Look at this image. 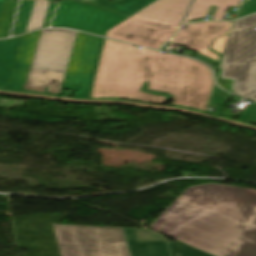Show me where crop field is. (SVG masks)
I'll list each match as a JSON object with an SVG mask.
<instances>
[{"instance_id": "7", "label": "crop field", "mask_w": 256, "mask_h": 256, "mask_svg": "<svg viewBox=\"0 0 256 256\" xmlns=\"http://www.w3.org/2000/svg\"><path fill=\"white\" fill-rule=\"evenodd\" d=\"M103 38L77 33L62 88L76 90L74 97H89L103 45Z\"/></svg>"}, {"instance_id": "6", "label": "crop field", "mask_w": 256, "mask_h": 256, "mask_svg": "<svg viewBox=\"0 0 256 256\" xmlns=\"http://www.w3.org/2000/svg\"><path fill=\"white\" fill-rule=\"evenodd\" d=\"M76 32L66 29L41 31L34 60L27 77L25 91L59 95L65 77Z\"/></svg>"}, {"instance_id": "2", "label": "crop field", "mask_w": 256, "mask_h": 256, "mask_svg": "<svg viewBox=\"0 0 256 256\" xmlns=\"http://www.w3.org/2000/svg\"><path fill=\"white\" fill-rule=\"evenodd\" d=\"M145 81L147 89L174 96L173 105L204 112L214 85L212 72L198 61L106 39L91 97L165 103V96L140 90Z\"/></svg>"}, {"instance_id": "8", "label": "crop field", "mask_w": 256, "mask_h": 256, "mask_svg": "<svg viewBox=\"0 0 256 256\" xmlns=\"http://www.w3.org/2000/svg\"><path fill=\"white\" fill-rule=\"evenodd\" d=\"M40 31L0 41V86L22 90L28 75Z\"/></svg>"}, {"instance_id": "9", "label": "crop field", "mask_w": 256, "mask_h": 256, "mask_svg": "<svg viewBox=\"0 0 256 256\" xmlns=\"http://www.w3.org/2000/svg\"><path fill=\"white\" fill-rule=\"evenodd\" d=\"M127 19L78 2H60L51 26L73 29L105 36L106 31Z\"/></svg>"}, {"instance_id": "1", "label": "crop field", "mask_w": 256, "mask_h": 256, "mask_svg": "<svg viewBox=\"0 0 256 256\" xmlns=\"http://www.w3.org/2000/svg\"><path fill=\"white\" fill-rule=\"evenodd\" d=\"M150 228L216 256H256V189L188 188Z\"/></svg>"}, {"instance_id": "10", "label": "crop field", "mask_w": 256, "mask_h": 256, "mask_svg": "<svg viewBox=\"0 0 256 256\" xmlns=\"http://www.w3.org/2000/svg\"><path fill=\"white\" fill-rule=\"evenodd\" d=\"M232 22H203L188 25L190 27L186 31L181 29L174 37L175 43L189 46V49L200 51V54L218 62L219 57L208 48L214 38L229 33ZM228 36L216 39L211 48L221 54Z\"/></svg>"}, {"instance_id": "16", "label": "crop field", "mask_w": 256, "mask_h": 256, "mask_svg": "<svg viewBox=\"0 0 256 256\" xmlns=\"http://www.w3.org/2000/svg\"><path fill=\"white\" fill-rule=\"evenodd\" d=\"M229 96L230 94L215 86L210 104L219 105V103H223Z\"/></svg>"}, {"instance_id": "4", "label": "crop field", "mask_w": 256, "mask_h": 256, "mask_svg": "<svg viewBox=\"0 0 256 256\" xmlns=\"http://www.w3.org/2000/svg\"><path fill=\"white\" fill-rule=\"evenodd\" d=\"M256 15L233 22L223 52L222 73L217 82L225 90L232 84L235 93L256 101ZM225 78L235 82L226 81Z\"/></svg>"}, {"instance_id": "11", "label": "crop field", "mask_w": 256, "mask_h": 256, "mask_svg": "<svg viewBox=\"0 0 256 256\" xmlns=\"http://www.w3.org/2000/svg\"><path fill=\"white\" fill-rule=\"evenodd\" d=\"M49 3L47 0H22L13 36L42 27Z\"/></svg>"}, {"instance_id": "17", "label": "crop field", "mask_w": 256, "mask_h": 256, "mask_svg": "<svg viewBox=\"0 0 256 256\" xmlns=\"http://www.w3.org/2000/svg\"><path fill=\"white\" fill-rule=\"evenodd\" d=\"M239 120L256 123V103H254L246 112H243Z\"/></svg>"}, {"instance_id": "15", "label": "crop field", "mask_w": 256, "mask_h": 256, "mask_svg": "<svg viewBox=\"0 0 256 256\" xmlns=\"http://www.w3.org/2000/svg\"><path fill=\"white\" fill-rule=\"evenodd\" d=\"M253 12H256V0H241L236 17Z\"/></svg>"}, {"instance_id": "18", "label": "crop field", "mask_w": 256, "mask_h": 256, "mask_svg": "<svg viewBox=\"0 0 256 256\" xmlns=\"http://www.w3.org/2000/svg\"><path fill=\"white\" fill-rule=\"evenodd\" d=\"M57 5V2H51L50 3V6H49V10H48V13H47V16H46V19H45V23H44V26H48L49 23H50V20L52 18V15H53V12L55 10V7Z\"/></svg>"}, {"instance_id": "14", "label": "crop field", "mask_w": 256, "mask_h": 256, "mask_svg": "<svg viewBox=\"0 0 256 256\" xmlns=\"http://www.w3.org/2000/svg\"><path fill=\"white\" fill-rule=\"evenodd\" d=\"M17 2L15 0H0V38L9 35Z\"/></svg>"}, {"instance_id": "13", "label": "crop field", "mask_w": 256, "mask_h": 256, "mask_svg": "<svg viewBox=\"0 0 256 256\" xmlns=\"http://www.w3.org/2000/svg\"><path fill=\"white\" fill-rule=\"evenodd\" d=\"M155 0H81L80 3L89 4L124 16H131Z\"/></svg>"}, {"instance_id": "5", "label": "crop field", "mask_w": 256, "mask_h": 256, "mask_svg": "<svg viewBox=\"0 0 256 256\" xmlns=\"http://www.w3.org/2000/svg\"><path fill=\"white\" fill-rule=\"evenodd\" d=\"M191 0H156L106 36L159 48L180 26Z\"/></svg>"}, {"instance_id": "12", "label": "crop field", "mask_w": 256, "mask_h": 256, "mask_svg": "<svg viewBox=\"0 0 256 256\" xmlns=\"http://www.w3.org/2000/svg\"><path fill=\"white\" fill-rule=\"evenodd\" d=\"M238 4L239 0H194L183 24L192 19L206 17L211 5H218L212 20L223 19L228 7Z\"/></svg>"}, {"instance_id": "3", "label": "crop field", "mask_w": 256, "mask_h": 256, "mask_svg": "<svg viewBox=\"0 0 256 256\" xmlns=\"http://www.w3.org/2000/svg\"><path fill=\"white\" fill-rule=\"evenodd\" d=\"M61 256H170L166 241L147 229L53 224ZM172 256H213L169 242Z\"/></svg>"}]
</instances>
